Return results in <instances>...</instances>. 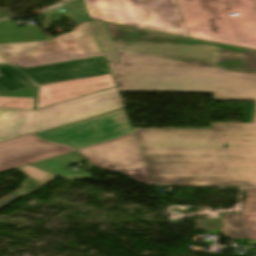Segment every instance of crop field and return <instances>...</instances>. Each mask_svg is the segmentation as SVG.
<instances>
[{"label":"crop field","instance_id":"3316defc","mask_svg":"<svg viewBox=\"0 0 256 256\" xmlns=\"http://www.w3.org/2000/svg\"><path fill=\"white\" fill-rule=\"evenodd\" d=\"M111 76L102 75L39 86L37 109L115 87Z\"/></svg>","mask_w":256,"mask_h":256},{"label":"crop field","instance_id":"cbeb9de0","mask_svg":"<svg viewBox=\"0 0 256 256\" xmlns=\"http://www.w3.org/2000/svg\"><path fill=\"white\" fill-rule=\"evenodd\" d=\"M37 86L0 95V108L34 109Z\"/></svg>","mask_w":256,"mask_h":256},{"label":"crop field","instance_id":"bc2a9ffb","mask_svg":"<svg viewBox=\"0 0 256 256\" xmlns=\"http://www.w3.org/2000/svg\"><path fill=\"white\" fill-rule=\"evenodd\" d=\"M20 169L23 170L28 176L35 179L41 185H44L47 182H49V181H51L52 179L55 178V175L47 173V172L42 171L40 169L31 167L29 165H27L25 167H22Z\"/></svg>","mask_w":256,"mask_h":256},{"label":"crop field","instance_id":"22f410ed","mask_svg":"<svg viewBox=\"0 0 256 256\" xmlns=\"http://www.w3.org/2000/svg\"><path fill=\"white\" fill-rule=\"evenodd\" d=\"M83 161L84 160L81 159L76 153L72 152L35 164H31V166L40 168L63 178L80 180L81 178L64 169V167Z\"/></svg>","mask_w":256,"mask_h":256},{"label":"crop field","instance_id":"ac0d7876","mask_svg":"<svg viewBox=\"0 0 256 256\" xmlns=\"http://www.w3.org/2000/svg\"><path fill=\"white\" fill-rule=\"evenodd\" d=\"M36 135L71 146L98 168L155 185L124 108Z\"/></svg>","mask_w":256,"mask_h":256},{"label":"crop field","instance_id":"f4fd0767","mask_svg":"<svg viewBox=\"0 0 256 256\" xmlns=\"http://www.w3.org/2000/svg\"><path fill=\"white\" fill-rule=\"evenodd\" d=\"M0 53L21 68L101 55L120 61L105 22L94 20L51 41L0 46Z\"/></svg>","mask_w":256,"mask_h":256},{"label":"crop field","instance_id":"d1516ede","mask_svg":"<svg viewBox=\"0 0 256 256\" xmlns=\"http://www.w3.org/2000/svg\"><path fill=\"white\" fill-rule=\"evenodd\" d=\"M47 40L38 27L18 29L10 21L0 22V44Z\"/></svg>","mask_w":256,"mask_h":256},{"label":"crop field","instance_id":"5a996713","mask_svg":"<svg viewBox=\"0 0 256 256\" xmlns=\"http://www.w3.org/2000/svg\"><path fill=\"white\" fill-rule=\"evenodd\" d=\"M18 69L38 85L111 73L104 56Z\"/></svg>","mask_w":256,"mask_h":256},{"label":"crop field","instance_id":"dafd665d","mask_svg":"<svg viewBox=\"0 0 256 256\" xmlns=\"http://www.w3.org/2000/svg\"><path fill=\"white\" fill-rule=\"evenodd\" d=\"M64 1H67V0H61V2H64Z\"/></svg>","mask_w":256,"mask_h":256},{"label":"crop field","instance_id":"34b2d1b8","mask_svg":"<svg viewBox=\"0 0 256 256\" xmlns=\"http://www.w3.org/2000/svg\"><path fill=\"white\" fill-rule=\"evenodd\" d=\"M156 185L256 187V155L143 153Z\"/></svg>","mask_w":256,"mask_h":256},{"label":"crop field","instance_id":"e52e79f7","mask_svg":"<svg viewBox=\"0 0 256 256\" xmlns=\"http://www.w3.org/2000/svg\"><path fill=\"white\" fill-rule=\"evenodd\" d=\"M117 87L90 96L38 109L35 133L122 108Z\"/></svg>","mask_w":256,"mask_h":256},{"label":"crop field","instance_id":"733c2abd","mask_svg":"<svg viewBox=\"0 0 256 256\" xmlns=\"http://www.w3.org/2000/svg\"><path fill=\"white\" fill-rule=\"evenodd\" d=\"M221 219L225 226L221 229L223 235L230 238L249 239L240 218V213H224Z\"/></svg>","mask_w":256,"mask_h":256},{"label":"crop field","instance_id":"d8731c3e","mask_svg":"<svg viewBox=\"0 0 256 256\" xmlns=\"http://www.w3.org/2000/svg\"><path fill=\"white\" fill-rule=\"evenodd\" d=\"M72 151L64 145L41 141L29 134L0 143V173Z\"/></svg>","mask_w":256,"mask_h":256},{"label":"crop field","instance_id":"dd49c442","mask_svg":"<svg viewBox=\"0 0 256 256\" xmlns=\"http://www.w3.org/2000/svg\"><path fill=\"white\" fill-rule=\"evenodd\" d=\"M91 18L188 36L175 0H83Z\"/></svg>","mask_w":256,"mask_h":256},{"label":"crop field","instance_id":"412701ff","mask_svg":"<svg viewBox=\"0 0 256 256\" xmlns=\"http://www.w3.org/2000/svg\"><path fill=\"white\" fill-rule=\"evenodd\" d=\"M190 37L256 50V0H176ZM239 13V16L228 14Z\"/></svg>","mask_w":256,"mask_h":256},{"label":"crop field","instance_id":"92a150f3","mask_svg":"<svg viewBox=\"0 0 256 256\" xmlns=\"http://www.w3.org/2000/svg\"><path fill=\"white\" fill-rule=\"evenodd\" d=\"M0 63H8V61H6L5 59H3V58L0 56Z\"/></svg>","mask_w":256,"mask_h":256},{"label":"crop field","instance_id":"28ad6ade","mask_svg":"<svg viewBox=\"0 0 256 256\" xmlns=\"http://www.w3.org/2000/svg\"><path fill=\"white\" fill-rule=\"evenodd\" d=\"M34 110L0 109V140L32 131Z\"/></svg>","mask_w":256,"mask_h":256},{"label":"crop field","instance_id":"214f88e0","mask_svg":"<svg viewBox=\"0 0 256 256\" xmlns=\"http://www.w3.org/2000/svg\"><path fill=\"white\" fill-rule=\"evenodd\" d=\"M21 191V190H20ZM20 191L16 192L15 194H13L12 196L6 198L5 200L0 202V208H2L3 206L7 205L8 203H10L11 201L21 197L22 195L18 194ZM12 203V202H11Z\"/></svg>","mask_w":256,"mask_h":256},{"label":"crop field","instance_id":"5142ce71","mask_svg":"<svg viewBox=\"0 0 256 256\" xmlns=\"http://www.w3.org/2000/svg\"><path fill=\"white\" fill-rule=\"evenodd\" d=\"M0 75V93L36 85L12 65H0Z\"/></svg>","mask_w":256,"mask_h":256},{"label":"crop field","instance_id":"4a817a6b","mask_svg":"<svg viewBox=\"0 0 256 256\" xmlns=\"http://www.w3.org/2000/svg\"><path fill=\"white\" fill-rule=\"evenodd\" d=\"M63 7L66 8V12L62 14L77 25L90 19L82 0L69 2Z\"/></svg>","mask_w":256,"mask_h":256},{"label":"crop field","instance_id":"8a807250","mask_svg":"<svg viewBox=\"0 0 256 256\" xmlns=\"http://www.w3.org/2000/svg\"><path fill=\"white\" fill-rule=\"evenodd\" d=\"M121 62H108L120 91L214 92L256 100V51L106 23ZM212 129H134L143 152L256 154L253 123Z\"/></svg>","mask_w":256,"mask_h":256},{"label":"crop field","instance_id":"d9b57169","mask_svg":"<svg viewBox=\"0 0 256 256\" xmlns=\"http://www.w3.org/2000/svg\"><path fill=\"white\" fill-rule=\"evenodd\" d=\"M246 199L241 210V218L250 239H256V189H243Z\"/></svg>","mask_w":256,"mask_h":256}]
</instances>
